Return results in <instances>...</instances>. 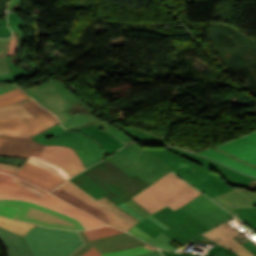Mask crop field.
I'll return each instance as SVG.
<instances>
[{
    "label": "crop field",
    "mask_w": 256,
    "mask_h": 256,
    "mask_svg": "<svg viewBox=\"0 0 256 256\" xmlns=\"http://www.w3.org/2000/svg\"><path fill=\"white\" fill-rule=\"evenodd\" d=\"M234 210L241 214L237 216L239 219H241L256 230V211L250 208H241Z\"/></svg>",
    "instance_id": "obj_34"
},
{
    "label": "crop field",
    "mask_w": 256,
    "mask_h": 256,
    "mask_svg": "<svg viewBox=\"0 0 256 256\" xmlns=\"http://www.w3.org/2000/svg\"><path fill=\"white\" fill-rule=\"evenodd\" d=\"M35 102L30 99L21 105L36 118L0 119L1 134L34 136L59 122L53 114Z\"/></svg>",
    "instance_id": "obj_9"
},
{
    "label": "crop field",
    "mask_w": 256,
    "mask_h": 256,
    "mask_svg": "<svg viewBox=\"0 0 256 256\" xmlns=\"http://www.w3.org/2000/svg\"><path fill=\"white\" fill-rule=\"evenodd\" d=\"M40 157L51 160L64 168L72 177L86 169L75 150L63 146H45Z\"/></svg>",
    "instance_id": "obj_18"
},
{
    "label": "crop field",
    "mask_w": 256,
    "mask_h": 256,
    "mask_svg": "<svg viewBox=\"0 0 256 256\" xmlns=\"http://www.w3.org/2000/svg\"><path fill=\"white\" fill-rule=\"evenodd\" d=\"M128 232L134 234L135 236H137L147 242L150 241L151 239H153L135 226L133 228H131Z\"/></svg>",
    "instance_id": "obj_45"
},
{
    "label": "crop field",
    "mask_w": 256,
    "mask_h": 256,
    "mask_svg": "<svg viewBox=\"0 0 256 256\" xmlns=\"http://www.w3.org/2000/svg\"><path fill=\"white\" fill-rule=\"evenodd\" d=\"M56 116L60 120L62 126L65 128H69V127H72L77 124H80V123H83V122L93 119L91 114H86V115L77 114L70 118L62 112Z\"/></svg>",
    "instance_id": "obj_29"
},
{
    "label": "crop field",
    "mask_w": 256,
    "mask_h": 256,
    "mask_svg": "<svg viewBox=\"0 0 256 256\" xmlns=\"http://www.w3.org/2000/svg\"><path fill=\"white\" fill-rule=\"evenodd\" d=\"M0 167L15 170V171H17L19 169L18 167L6 165V164H1V163H0Z\"/></svg>",
    "instance_id": "obj_58"
},
{
    "label": "crop field",
    "mask_w": 256,
    "mask_h": 256,
    "mask_svg": "<svg viewBox=\"0 0 256 256\" xmlns=\"http://www.w3.org/2000/svg\"><path fill=\"white\" fill-rule=\"evenodd\" d=\"M15 117H34L20 103L9 106L0 107V118H15Z\"/></svg>",
    "instance_id": "obj_28"
},
{
    "label": "crop field",
    "mask_w": 256,
    "mask_h": 256,
    "mask_svg": "<svg viewBox=\"0 0 256 256\" xmlns=\"http://www.w3.org/2000/svg\"><path fill=\"white\" fill-rule=\"evenodd\" d=\"M213 172L220 174L230 186L246 188L252 177L233 171L221 164H219ZM256 180V179H255Z\"/></svg>",
    "instance_id": "obj_22"
},
{
    "label": "crop field",
    "mask_w": 256,
    "mask_h": 256,
    "mask_svg": "<svg viewBox=\"0 0 256 256\" xmlns=\"http://www.w3.org/2000/svg\"><path fill=\"white\" fill-rule=\"evenodd\" d=\"M106 159L119 166L130 176L136 174L151 184L171 171L165 162L145 151L138 144H131Z\"/></svg>",
    "instance_id": "obj_3"
},
{
    "label": "crop field",
    "mask_w": 256,
    "mask_h": 256,
    "mask_svg": "<svg viewBox=\"0 0 256 256\" xmlns=\"http://www.w3.org/2000/svg\"><path fill=\"white\" fill-rule=\"evenodd\" d=\"M123 209H125L126 211H128L130 214H132L133 216H135L137 219L141 220L145 217H143L141 214H139L138 212H136L134 209H132L131 207H129L127 204H122L120 205ZM120 207V208H121Z\"/></svg>",
    "instance_id": "obj_47"
},
{
    "label": "crop field",
    "mask_w": 256,
    "mask_h": 256,
    "mask_svg": "<svg viewBox=\"0 0 256 256\" xmlns=\"http://www.w3.org/2000/svg\"><path fill=\"white\" fill-rule=\"evenodd\" d=\"M51 193L111 226L124 231L133 226L131 223L100 204L96 199L85 193L70 180L53 189Z\"/></svg>",
    "instance_id": "obj_6"
},
{
    "label": "crop field",
    "mask_w": 256,
    "mask_h": 256,
    "mask_svg": "<svg viewBox=\"0 0 256 256\" xmlns=\"http://www.w3.org/2000/svg\"><path fill=\"white\" fill-rule=\"evenodd\" d=\"M214 256H229V255H227L225 252H223V251H219L217 254H215Z\"/></svg>",
    "instance_id": "obj_60"
},
{
    "label": "crop field",
    "mask_w": 256,
    "mask_h": 256,
    "mask_svg": "<svg viewBox=\"0 0 256 256\" xmlns=\"http://www.w3.org/2000/svg\"><path fill=\"white\" fill-rule=\"evenodd\" d=\"M26 160L27 159H25V158L0 156L1 163L11 164V165L19 166V167H21L26 162Z\"/></svg>",
    "instance_id": "obj_42"
},
{
    "label": "crop field",
    "mask_w": 256,
    "mask_h": 256,
    "mask_svg": "<svg viewBox=\"0 0 256 256\" xmlns=\"http://www.w3.org/2000/svg\"><path fill=\"white\" fill-rule=\"evenodd\" d=\"M122 132L146 145H166L169 143L168 140L158 138L130 126H127Z\"/></svg>",
    "instance_id": "obj_23"
},
{
    "label": "crop field",
    "mask_w": 256,
    "mask_h": 256,
    "mask_svg": "<svg viewBox=\"0 0 256 256\" xmlns=\"http://www.w3.org/2000/svg\"><path fill=\"white\" fill-rule=\"evenodd\" d=\"M146 150L157 155L167 163L172 171L210 198L236 188L230 187L220 175L168 151L165 148ZM193 168L195 170L192 172L191 170Z\"/></svg>",
    "instance_id": "obj_2"
},
{
    "label": "crop field",
    "mask_w": 256,
    "mask_h": 256,
    "mask_svg": "<svg viewBox=\"0 0 256 256\" xmlns=\"http://www.w3.org/2000/svg\"><path fill=\"white\" fill-rule=\"evenodd\" d=\"M35 224L0 217V227L23 236Z\"/></svg>",
    "instance_id": "obj_25"
},
{
    "label": "crop field",
    "mask_w": 256,
    "mask_h": 256,
    "mask_svg": "<svg viewBox=\"0 0 256 256\" xmlns=\"http://www.w3.org/2000/svg\"><path fill=\"white\" fill-rule=\"evenodd\" d=\"M63 112H65L67 115H69L70 117L77 114V113H81V114H85V113H91V111H89L83 104H81L79 101L76 102L75 104H73L72 106L68 107L67 109H65ZM95 119L91 120V121H88L86 123H83V124H80V125H77L75 127H72L70 129H74V128H78V127H82V126H85V125H89V124H92V123H95L97 121H100L97 117L93 116Z\"/></svg>",
    "instance_id": "obj_31"
},
{
    "label": "crop field",
    "mask_w": 256,
    "mask_h": 256,
    "mask_svg": "<svg viewBox=\"0 0 256 256\" xmlns=\"http://www.w3.org/2000/svg\"><path fill=\"white\" fill-rule=\"evenodd\" d=\"M26 92L55 115L78 100L92 112L95 111V109L70 91L66 85L53 78L28 89Z\"/></svg>",
    "instance_id": "obj_11"
},
{
    "label": "crop field",
    "mask_w": 256,
    "mask_h": 256,
    "mask_svg": "<svg viewBox=\"0 0 256 256\" xmlns=\"http://www.w3.org/2000/svg\"><path fill=\"white\" fill-rule=\"evenodd\" d=\"M167 149H169V150H171V151H173V152H175L177 154H180V155H182V156H184V157H186V158H188V159H190V160H192V161L202 165L203 167H205V168H207V169H209L211 171L218 165V163H215L213 161L207 160L205 158H202V157L197 156L195 154H192L190 152L178 150V149H175V148H167Z\"/></svg>",
    "instance_id": "obj_30"
},
{
    "label": "crop field",
    "mask_w": 256,
    "mask_h": 256,
    "mask_svg": "<svg viewBox=\"0 0 256 256\" xmlns=\"http://www.w3.org/2000/svg\"><path fill=\"white\" fill-rule=\"evenodd\" d=\"M135 175L104 160L70 180L94 198L104 195L119 205L151 185Z\"/></svg>",
    "instance_id": "obj_1"
},
{
    "label": "crop field",
    "mask_w": 256,
    "mask_h": 256,
    "mask_svg": "<svg viewBox=\"0 0 256 256\" xmlns=\"http://www.w3.org/2000/svg\"><path fill=\"white\" fill-rule=\"evenodd\" d=\"M256 256V245L250 240L241 244Z\"/></svg>",
    "instance_id": "obj_48"
},
{
    "label": "crop field",
    "mask_w": 256,
    "mask_h": 256,
    "mask_svg": "<svg viewBox=\"0 0 256 256\" xmlns=\"http://www.w3.org/2000/svg\"><path fill=\"white\" fill-rule=\"evenodd\" d=\"M148 218H150L151 220H153L154 222H156L158 225H160L161 227H163L164 229H168V228H170V227H168V226H166V225H164L163 223H161L159 220H157L155 217H153L152 215L151 216H149Z\"/></svg>",
    "instance_id": "obj_57"
},
{
    "label": "crop field",
    "mask_w": 256,
    "mask_h": 256,
    "mask_svg": "<svg viewBox=\"0 0 256 256\" xmlns=\"http://www.w3.org/2000/svg\"><path fill=\"white\" fill-rule=\"evenodd\" d=\"M135 226H137L138 228H140L141 230H143L145 233H147L148 235H150L153 238L156 237L157 235L161 234L143 221L138 223Z\"/></svg>",
    "instance_id": "obj_44"
},
{
    "label": "crop field",
    "mask_w": 256,
    "mask_h": 256,
    "mask_svg": "<svg viewBox=\"0 0 256 256\" xmlns=\"http://www.w3.org/2000/svg\"><path fill=\"white\" fill-rule=\"evenodd\" d=\"M11 32L7 27H0V37H9Z\"/></svg>",
    "instance_id": "obj_53"
},
{
    "label": "crop field",
    "mask_w": 256,
    "mask_h": 256,
    "mask_svg": "<svg viewBox=\"0 0 256 256\" xmlns=\"http://www.w3.org/2000/svg\"><path fill=\"white\" fill-rule=\"evenodd\" d=\"M13 31L16 32L18 38H19V44L18 45H23V36L21 35L22 28L20 27H10Z\"/></svg>",
    "instance_id": "obj_51"
},
{
    "label": "crop field",
    "mask_w": 256,
    "mask_h": 256,
    "mask_svg": "<svg viewBox=\"0 0 256 256\" xmlns=\"http://www.w3.org/2000/svg\"><path fill=\"white\" fill-rule=\"evenodd\" d=\"M14 56H10L5 58L10 73L4 74L0 76V81H9L11 83H14L17 79L26 76L27 78L30 77V74L24 70L18 69L15 64L12 62Z\"/></svg>",
    "instance_id": "obj_27"
},
{
    "label": "crop field",
    "mask_w": 256,
    "mask_h": 256,
    "mask_svg": "<svg viewBox=\"0 0 256 256\" xmlns=\"http://www.w3.org/2000/svg\"><path fill=\"white\" fill-rule=\"evenodd\" d=\"M181 208L193 214L211 228L233 218V215L203 194Z\"/></svg>",
    "instance_id": "obj_14"
},
{
    "label": "crop field",
    "mask_w": 256,
    "mask_h": 256,
    "mask_svg": "<svg viewBox=\"0 0 256 256\" xmlns=\"http://www.w3.org/2000/svg\"><path fill=\"white\" fill-rule=\"evenodd\" d=\"M8 10H21L20 0L11 1Z\"/></svg>",
    "instance_id": "obj_50"
},
{
    "label": "crop field",
    "mask_w": 256,
    "mask_h": 256,
    "mask_svg": "<svg viewBox=\"0 0 256 256\" xmlns=\"http://www.w3.org/2000/svg\"><path fill=\"white\" fill-rule=\"evenodd\" d=\"M104 129L106 131H103ZM75 130L83 132L98 141L104 148L106 154H111L123 146L135 141L126 136L127 134L125 135L122 133L121 130L103 121Z\"/></svg>",
    "instance_id": "obj_13"
},
{
    "label": "crop field",
    "mask_w": 256,
    "mask_h": 256,
    "mask_svg": "<svg viewBox=\"0 0 256 256\" xmlns=\"http://www.w3.org/2000/svg\"><path fill=\"white\" fill-rule=\"evenodd\" d=\"M184 183L186 182L170 172L165 177L152 184L145 191L141 192L140 194L136 195L131 199H133L135 202H137L139 205L146 209L164 196L168 195L169 193L183 185Z\"/></svg>",
    "instance_id": "obj_16"
},
{
    "label": "crop field",
    "mask_w": 256,
    "mask_h": 256,
    "mask_svg": "<svg viewBox=\"0 0 256 256\" xmlns=\"http://www.w3.org/2000/svg\"><path fill=\"white\" fill-rule=\"evenodd\" d=\"M153 216L171 228L166 231L148 218L143 221L151 225L159 232L165 233L167 236L177 241L181 245L192 239L197 234L210 229L193 215L181 208L174 211L166 207L154 213Z\"/></svg>",
    "instance_id": "obj_7"
},
{
    "label": "crop field",
    "mask_w": 256,
    "mask_h": 256,
    "mask_svg": "<svg viewBox=\"0 0 256 256\" xmlns=\"http://www.w3.org/2000/svg\"><path fill=\"white\" fill-rule=\"evenodd\" d=\"M1 26H7L6 18L3 20H0Z\"/></svg>",
    "instance_id": "obj_61"
},
{
    "label": "crop field",
    "mask_w": 256,
    "mask_h": 256,
    "mask_svg": "<svg viewBox=\"0 0 256 256\" xmlns=\"http://www.w3.org/2000/svg\"><path fill=\"white\" fill-rule=\"evenodd\" d=\"M240 234L241 233H239L237 230L223 223L201 235L230 250H233L238 256H254L232 238Z\"/></svg>",
    "instance_id": "obj_20"
},
{
    "label": "crop field",
    "mask_w": 256,
    "mask_h": 256,
    "mask_svg": "<svg viewBox=\"0 0 256 256\" xmlns=\"http://www.w3.org/2000/svg\"><path fill=\"white\" fill-rule=\"evenodd\" d=\"M24 238L34 256H69L83 244L77 232L39 226Z\"/></svg>",
    "instance_id": "obj_4"
},
{
    "label": "crop field",
    "mask_w": 256,
    "mask_h": 256,
    "mask_svg": "<svg viewBox=\"0 0 256 256\" xmlns=\"http://www.w3.org/2000/svg\"><path fill=\"white\" fill-rule=\"evenodd\" d=\"M14 176L36 184L48 191L65 182L56 175L28 163H25Z\"/></svg>",
    "instance_id": "obj_19"
},
{
    "label": "crop field",
    "mask_w": 256,
    "mask_h": 256,
    "mask_svg": "<svg viewBox=\"0 0 256 256\" xmlns=\"http://www.w3.org/2000/svg\"><path fill=\"white\" fill-rule=\"evenodd\" d=\"M227 152H230L248 162L256 165V132L233 142L217 146ZM201 155L217 160L231 168L241 171L245 174L256 176V169L239 162L215 149L198 152Z\"/></svg>",
    "instance_id": "obj_10"
},
{
    "label": "crop field",
    "mask_w": 256,
    "mask_h": 256,
    "mask_svg": "<svg viewBox=\"0 0 256 256\" xmlns=\"http://www.w3.org/2000/svg\"><path fill=\"white\" fill-rule=\"evenodd\" d=\"M27 162L36 164L54 174H56L57 176H59L60 178H62L65 181L68 180L69 178H71L65 170L58 167L55 163H53L51 161L44 160L40 157L30 156V158L28 159Z\"/></svg>",
    "instance_id": "obj_24"
},
{
    "label": "crop field",
    "mask_w": 256,
    "mask_h": 256,
    "mask_svg": "<svg viewBox=\"0 0 256 256\" xmlns=\"http://www.w3.org/2000/svg\"><path fill=\"white\" fill-rule=\"evenodd\" d=\"M84 256H101V254L93 247L88 253Z\"/></svg>",
    "instance_id": "obj_55"
},
{
    "label": "crop field",
    "mask_w": 256,
    "mask_h": 256,
    "mask_svg": "<svg viewBox=\"0 0 256 256\" xmlns=\"http://www.w3.org/2000/svg\"><path fill=\"white\" fill-rule=\"evenodd\" d=\"M84 232L87 235V237L89 238V240H91V239H95V238H99V237L119 233L121 231H119V230H117V229H115L111 226H104V227H100V228H97V229L84 231Z\"/></svg>",
    "instance_id": "obj_33"
},
{
    "label": "crop field",
    "mask_w": 256,
    "mask_h": 256,
    "mask_svg": "<svg viewBox=\"0 0 256 256\" xmlns=\"http://www.w3.org/2000/svg\"><path fill=\"white\" fill-rule=\"evenodd\" d=\"M200 194L202 193L198 192L197 190H195L193 187L186 183L146 210L149 211L151 214L166 206L175 210L183 206L184 204L188 203L195 197L199 196Z\"/></svg>",
    "instance_id": "obj_21"
},
{
    "label": "crop field",
    "mask_w": 256,
    "mask_h": 256,
    "mask_svg": "<svg viewBox=\"0 0 256 256\" xmlns=\"http://www.w3.org/2000/svg\"><path fill=\"white\" fill-rule=\"evenodd\" d=\"M9 181L19 185L20 187L26 189L27 191L31 192L32 194H34V195H36L40 198L47 193V192H45V191H43V190H41V189H39V188H37L33 185H30V184H28V183H26V182H24V181H22L18 178L12 177Z\"/></svg>",
    "instance_id": "obj_38"
},
{
    "label": "crop field",
    "mask_w": 256,
    "mask_h": 256,
    "mask_svg": "<svg viewBox=\"0 0 256 256\" xmlns=\"http://www.w3.org/2000/svg\"><path fill=\"white\" fill-rule=\"evenodd\" d=\"M197 242L200 243H205V244H215L209 240H207L206 238H204L203 236L199 235L197 237H195L193 240H191L189 242V244H196ZM220 249H222L223 251H225L226 253L232 255V256H237L235 255L232 251H229L217 244H215L213 247L210 248V251L206 254V256H213L216 252H218Z\"/></svg>",
    "instance_id": "obj_36"
},
{
    "label": "crop field",
    "mask_w": 256,
    "mask_h": 256,
    "mask_svg": "<svg viewBox=\"0 0 256 256\" xmlns=\"http://www.w3.org/2000/svg\"><path fill=\"white\" fill-rule=\"evenodd\" d=\"M213 148H215V149H217V150H219V151H221V152H223V153H225V154H227V155H229V156H231V157L236 158V159L239 160V161H242V162H244V163H247V164H249V165H251V166H253V167L256 168L255 165L250 164V163H248V162H246V161H244V160H242V159H239V158H237V157H235V156H233V155H231V154H229V153H227V152H225V151H223V150H221V149H219V148H217V147H213Z\"/></svg>",
    "instance_id": "obj_56"
},
{
    "label": "crop field",
    "mask_w": 256,
    "mask_h": 256,
    "mask_svg": "<svg viewBox=\"0 0 256 256\" xmlns=\"http://www.w3.org/2000/svg\"><path fill=\"white\" fill-rule=\"evenodd\" d=\"M164 256H197V255H190V254H183V253H173L161 250Z\"/></svg>",
    "instance_id": "obj_52"
},
{
    "label": "crop field",
    "mask_w": 256,
    "mask_h": 256,
    "mask_svg": "<svg viewBox=\"0 0 256 256\" xmlns=\"http://www.w3.org/2000/svg\"><path fill=\"white\" fill-rule=\"evenodd\" d=\"M173 240H171L169 237H167L165 234H161L158 237L154 238L153 240H151L150 244L157 246L161 249H165V250H171V251H176V249H174L169 243L172 242Z\"/></svg>",
    "instance_id": "obj_37"
},
{
    "label": "crop field",
    "mask_w": 256,
    "mask_h": 256,
    "mask_svg": "<svg viewBox=\"0 0 256 256\" xmlns=\"http://www.w3.org/2000/svg\"><path fill=\"white\" fill-rule=\"evenodd\" d=\"M98 201L100 203L104 204L105 206H107L108 208H110L111 210H113L114 212H116L117 214H119L120 216H122L123 218H125L126 220H128L129 222H131L134 225L139 221L135 217L130 215L128 212H126L125 210H123L118 205H116L115 203H113L112 201H110L109 199H107L104 196L99 198Z\"/></svg>",
    "instance_id": "obj_32"
},
{
    "label": "crop field",
    "mask_w": 256,
    "mask_h": 256,
    "mask_svg": "<svg viewBox=\"0 0 256 256\" xmlns=\"http://www.w3.org/2000/svg\"><path fill=\"white\" fill-rule=\"evenodd\" d=\"M28 98H30V96H28L19 88H16L10 92L0 95V106L14 105Z\"/></svg>",
    "instance_id": "obj_26"
},
{
    "label": "crop field",
    "mask_w": 256,
    "mask_h": 256,
    "mask_svg": "<svg viewBox=\"0 0 256 256\" xmlns=\"http://www.w3.org/2000/svg\"><path fill=\"white\" fill-rule=\"evenodd\" d=\"M43 145L32 140V137L0 135V155L29 158L39 156Z\"/></svg>",
    "instance_id": "obj_17"
},
{
    "label": "crop field",
    "mask_w": 256,
    "mask_h": 256,
    "mask_svg": "<svg viewBox=\"0 0 256 256\" xmlns=\"http://www.w3.org/2000/svg\"><path fill=\"white\" fill-rule=\"evenodd\" d=\"M17 86L15 85H12V84H8V83H0V94L1 93H4V92H7L13 88H15Z\"/></svg>",
    "instance_id": "obj_49"
},
{
    "label": "crop field",
    "mask_w": 256,
    "mask_h": 256,
    "mask_svg": "<svg viewBox=\"0 0 256 256\" xmlns=\"http://www.w3.org/2000/svg\"><path fill=\"white\" fill-rule=\"evenodd\" d=\"M7 205L23 207L18 220L38 223L40 225L69 230H83L77 220L51 209L18 200H5Z\"/></svg>",
    "instance_id": "obj_12"
},
{
    "label": "crop field",
    "mask_w": 256,
    "mask_h": 256,
    "mask_svg": "<svg viewBox=\"0 0 256 256\" xmlns=\"http://www.w3.org/2000/svg\"><path fill=\"white\" fill-rule=\"evenodd\" d=\"M33 139L43 145H64L75 149L86 168L104 156L103 150L95 140L76 131L64 130L60 123L34 136Z\"/></svg>",
    "instance_id": "obj_5"
},
{
    "label": "crop field",
    "mask_w": 256,
    "mask_h": 256,
    "mask_svg": "<svg viewBox=\"0 0 256 256\" xmlns=\"http://www.w3.org/2000/svg\"><path fill=\"white\" fill-rule=\"evenodd\" d=\"M11 176L0 173V198H15L32 201L41 205L47 206L61 213L71 215L80 220L84 227L91 229L104 226L105 224L93 219L86 213L74 208L73 206L61 201L60 199L50 195L49 193L43 198H38L24 189L14 185L8 180Z\"/></svg>",
    "instance_id": "obj_8"
},
{
    "label": "crop field",
    "mask_w": 256,
    "mask_h": 256,
    "mask_svg": "<svg viewBox=\"0 0 256 256\" xmlns=\"http://www.w3.org/2000/svg\"><path fill=\"white\" fill-rule=\"evenodd\" d=\"M127 203L129 206H131L132 208H134L136 211H138L139 213H141L143 216H148L150 215V213H148L145 209H143L141 206H139L137 203H135L133 200H128Z\"/></svg>",
    "instance_id": "obj_46"
},
{
    "label": "crop field",
    "mask_w": 256,
    "mask_h": 256,
    "mask_svg": "<svg viewBox=\"0 0 256 256\" xmlns=\"http://www.w3.org/2000/svg\"><path fill=\"white\" fill-rule=\"evenodd\" d=\"M22 208L6 206L4 200H0V215L17 219Z\"/></svg>",
    "instance_id": "obj_39"
},
{
    "label": "crop field",
    "mask_w": 256,
    "mask_h": 256,
    "mask_svg": "<svg viewBox=\"0 0 256 256\" xmlns=\"http://www.w3.org/2000/svg\"><path fill=\"white\" fill-rule=\"evenodd\" d=\"M0 231H3L5 233L9 234L18 243L23 256H33V254L31 253L30 249L28 248L23 237H21L17 234H14L12 232H9L5 229H2V228H0Z\"/></svg>",
    "instance_id": "obj_40"
},
{
    "label": "crop field",
    "mask_w": 256,
    "mask_h": 256,
    "mask_svg": "<svg viewBox=\"0 0 256 256\" xmlns=\"http://www.w3.org/2000/svg\"><path fill=\"white\" fill-rule=\"evenodd\" d=\"M136 256H162L161 253L158 252V250L148 253L139 254Z\"/></svg>",
    "instance_id": "obj_54"
},
{
    "label": "crop field",
    "mask_w": 256,
    "mask_h": 256,
    "mask_svg": "<svg viewBox=\"0 0 256 256\" xmlns=\"http://www.w3.org/2000/svg\"><path fill=\"white\" fill-rule=\"evenodd\" d=\"M0 172H4V173H7V174H11V175H13L15 173L14 171L2 169V168H0Z\"/></svg>",
    "instance_id": "obj_59"
},
{
    "label": "crop field",
    "mask_w": 256,
    "mask_h": 256,
    "mask_svg": "<svg viewBox=\"0 0 256 256\" xmlns=\"http://www.w3.org/2000/svg\"><path fill=\"white\" fill-rule=\"evenodd\" d=\"M9 39H0V75L8 73V68L4 57H6V51Z\"/></svg>",
    "instance_id": "obj_41"
},
{
    "label": "crop field",
    "mask_w": 256,
    "mask_h": 256,
    "mask_svg": "<svg viewBox=\"0 0 256 256\" xmlns=\"http://www.w3.org/2000/svg\"><path fill=\"white\" fill-rule=\"evenodd\" d=\"M0 240L9 252V256H22L16 242L8 235L0 232Z\"/></svg>",
    "instance_id": "obj_35"
},
{
    "label": "crop field",
    "mask_w": 256,
    "mask_h": 256,
    "mask_svg": "<svg viewBox=\"0 0 256 256\" xmlns=\"http://www.w3.org/2000/svg\"><path fill=\"white\" fill-rule=\"evenodd\" d=\"M85 244L74 252L71 256H83L87 251H89L93 246L100 252H110L116 250H122L132 247H137L145 245V243L139 241L138 239L128 235L127 233H119L95 240L89 241L83 231H79Z\"/></svg>",
    "instance_id": "obj_15"
},
{
    "label": "crop field",
    "mask_w": 256,
    "mask_h": 256,
    "mask_svg": "<svg viewBox=\"0 0 256 256\" xmlns=\"http://www.w3.org/2000/svg\"><path fill=\"white\" fill-rule=\"evenodd\" d=\"M252 203L256 206V200L252 201ZM252 209L256 210V208H252Z\"/></svg>",
    "instance_id": "obj_62"
},
{
    "label": "crop field",
    "mask_w": 256,
    "mask_h": 256,
    "mask_svg": "<svg viewBox=\"0 0 256 256\" xmlns=\"http://www.w3.org/2000/svg\"><path fill=\"white\" fill-rule=\"evenodd\" d=\"M18 16H20V13H9L8 14V20L10 26H21L23 27V32H26L28 29L21 20H19Z\"/></svg>",
    "instance_id": "obj_43"
}]
</instances>
